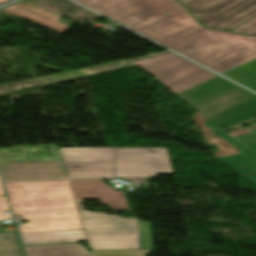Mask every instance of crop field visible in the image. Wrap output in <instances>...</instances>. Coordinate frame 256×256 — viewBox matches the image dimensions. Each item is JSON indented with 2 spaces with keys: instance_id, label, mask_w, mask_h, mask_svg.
Returning <instances> with one entry per match:
<instances>
[{
  "instance_id": "obj_1",
  "label": "crop field",
  "mask_w": 256,
  "mask_h": 256,
  "mask_svg": "<svg viewBox=\"0 0 256 256\" xmlns=\"http://www.w3.org/2000/svg\"><path fill=\"white\" fill-rule=\"evenodd\" d=\"M76 1L219 73L256 57L255 37L206 29L177 0Z\"/></svg>"
},
{
  "instance_id": "obj_14",
  "label": "crop field",
  "mask_w": 256,
  "mask_h": 256,
  "mask_svg": "<svg viewBox=\"0 0 256 256\" xmlns=\"http://www.w3.org/2000/svg\"><path fill=\"white\" fill-rule=\"evenodd\" d=\"M141 250L91 251V256H144L152 252L153 243L150 223L140 220Z\"/></svg>"
},
{
  "instance_id": "obj_15",
  "label": "crop field",
  "mask_w": 256,
  "mask_h": 256,
  "mask_svg": "<svg viewBox=\"0 0 256 256\" xmlns=\"http://www.w3.org/2000/svg\"><path fill=\"white\" fill-rule=\"evenodd\" d=\"M223 75L256 91V60Z\"/></svg>"
},
{
  "instance_id": "obj_2",
  "label": "crop field",
  "mask_w": 256,
  "mask_h": 256,
  "mask_svg": "<svg viewBox=\"0 0 256 256\" xmlns=\"http://www.w3.org/2000/svg\"><path fill=\"white\" fill-rule=\"evenodd\" d=\"M70 178L173 174L167 148H60Z\"/></svg>"
},
{
  "instance_id": "obj_6",
  "label": "crop field",
  "mask_w": 256,
  "mask_h": 256,
  "mask_svg": "<svg viewBox=\"0 0 256 256\" xmlns=\"http://www.w3.org/2000/svg\"><path fill=\"white\" fill-rule=\"evenodd\" d=\"M132 64L146 70L175 94L217 76L172 52Z\"/></svg>"
},
{
  "instance_id": "obj_20",
  "label": "crop field",
  "mask_w": 256,
  "mask_h": 256,
  "mask_svg": "<svg viewBox=\"0 0 256 256\" xmlns=\"http://www.w3.org/2000/svg\"><path fill=\"white\" fill-rule=\"evenodd\" d=\"M0 196H5L1 180H0Z\"/></svg>"
},
{
  "instance_id": "obj_8",
  "label": "crop field",
  "mask_w": 256,
  "mask_h": 256,
  "mask_svg": "<svg viewBox=\"0 0 256 256\" xmlns=\"http://www.w3.org/2000/svg\"><path fill=\"white\" fill-rule=\"evenodd\" d=\"M4 181L69 178L64 162L0 164Z\"/></svg>"
},
{
  "instance_id": "obj_17",
  "label": "crop field",
  "mask_w": 256,
  "mask_h": 256,
  "mask_svg": "<svg viewBox=\"0 0 256 256\" xmlns=\"http://www.w3.org/2000/svg\"><path fill=\"white\" fill-rule=\"evenodd\" d=\"M254 155H256V132L233 138Z\"/></svg>"
},
{
  "instance_id": "obj_13",
  "label": "crop field",
  "mask_w": 256,
  "mask_h": 256,
  "mask_svg": "<svg viewBox=\"0 0 256 256\" xmlns=\"http://www.w3.org/2000/svg\"><path fill=\"white\" fill-rule=\"evenodd\" d=\"M27 256H90L89 251L77 243L25 247Z\"/></svg>"
},
{
  "instance_id": "obj_10",
  "label": "crop field",
  "mask_w": 256,
  "mask_h": 256,
  "mask_svg": "<svg viewBox=\"0 0 256 256\" xmlns=\"http://www.w3.org/2000/svg\"><path fill=\"white\" fill-rule=\"evenodd\" d=\"M2 10L58 34L70 28L69 24L58 21L62 16L26 0Z\"/></svg>"
},
{
  "instance_id": "obj_7",
  "label": "crop field",
  "mask_w": 256,
  "mask_h": 256,
  "mask_svg": "<svg viewBox=\"0 0 256 256\" xmlns=\"http://www.w3.org/2000/svg\"><path fill=\"white\" fill-rule=\"evenodd\" d=\"M205 26L234 30L256 17V0H180Z\"/></svg>"
},
{
  "instance_id": "obj_4",
  "label": "crop field",
  "mask_w": 256,
  "mask_h": 256,
  "mask_svg": "<svg viewBox=\"0 0 256 256\" xmlns=\"http://www.w3.org/2000/svg\"><path fill=\"white\" fill-rule=\"evenodd\" d=\"M177 96L222 130L256 115V94L220 76Z\"/></svg>"
},
{
  "instance_id": "obj_11",
  "label": "crop field",
  "mask_w": 256,
  "mask_h": 256,
  "mask_svg": "<svg viewBox=\"0 0 256 256\" xmlns=\"http://www.w3.org/2000/svg\"><path fill=\"white\" fill-rule=\"evenodd\" d=\"M204 125L241 152L234 155L220 157V159L256 186V156L234 141L229 135L210 121L204 123Z\"/></svg>"
},
{
  "instance_id": "obj_18",
  "label": "crop field",
  "mask_w": 256,
  "mask_h": 256,
  "mask_svg": "<svg viewBox=\"0 0 256 256\" xmlns=\"http://www.w3.org/2000/svg\"><path fill=\"white\" fill-rule=\"evenodd\" d=\"M234 31L239 32L241 34L256 36V18H254L253 20L249 21L248 23L242 25L241 27L237 28Z\"/></svg>"
},
{
  "instance_id": "obj_21",
  "label": "crop field",
  "mask_w": 256,
  "mask_h": 256,
  "mask_svg": "<svg viewBox=\"0 0 256 256\" xmlns=\"http://www.w3.org/2000/svg\"><path fill=\"white\" fill-rule=\"evenodd\" d=\"M7 1H10V0H0V4L5 3Z\"/></svg>"
},
{
  "instance_id": "obj_12",
  "label": "crop field",
  "mask_w": 256,
  "mask_h": 256,
  "mask_svg": "<svg viewBox=\"0 0 256 256\" xmlns=\"http://www.w3.org/2000/svg\"><path fill=\"white\" fill-rule=\"evenodd\" d=\"M24 245L88 241L84 230L21 234Z\"/></svg>"
},
{
  "instance_id": "obj_16",
  "label": "crop field",
  "mask_w": 256,
  "mask_h": 256,
  "mask_svg": "<svg viewBox=\"0 0 256 256\" xmlns=\"http://www.w3.org/2000/svg\"><path fill=\"white\" fill-rule=\"evenodd\" d=\"M0 256H24L17 231L3 232L0 224Z\"/></svg>"
},
{
  "instance_id": "obj_19",
  "label": "crop field",
  "mask_w": 256,
  "mask_h": 256,
  "mask_svg": "<svg viewBox=\"0 0 256 256\" xmlns=\"http://www.w3.org/2000/svg\"><path fill=\"white\" fill-rule=\"evenodd\" d=\"M9 205L5 197H0V220L13 219L11 214L3 215L2 211H9Z\"/></svg>"
},
{
  "instance_id": "obj_3",
  "label": "crop field",
  "mask_w": 256,
  "mask_h": 256,
  "mask_svg": "<svg viewBox=\"0 0 256 256\" xmlns=\"http://www.w3.org/2000/svg\"><path fill=\"white\" fill-rule=\"evenodd\" d=\"M5 184L14 214L31 220L20 233L83 229L69 181Z\"/></svg>"
},
{
  "instance_id": "obj_5",
  "label": "crop field",
  "mask_w": 256,
  "mask_h": 256,
  "mask_svg": "<svg viewBox=\"0 0 256 256\" xmlns=\"http://www.w3.org/2000/svg\"><path fill=\"white\" fill-rule=\"evenodd\" d=\"M75 200L91 250L140 249L138 218L87 212Z\"/></svg>"
},
{
  "instance_id": "obj_9",
  "label": "crop field",
  "mask_w": 256,
  "mask_h": 256,
  "mask_svg": "<svg viewBox=\"0 0 256 256\" xmlns=\"http://www.w3.org/2000/svg\"><path fill=\"white\" fill-rule=\"evenodd\" d=\"M74 197L79 199H100L102 205L113 210L129 211L122 192L107 186L102 180H71Z\"/></svg>"
}]
</instances>
